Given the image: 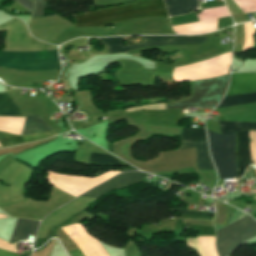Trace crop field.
<instances>
[{"instance_id":"d8731c3e","label":"crop field","mask_w":256,"mask_h":256,"mask_svg":"<svg viewBox=\"0 0 256 256\" xmlns=\"http://www.w3.org/2000/svg\"><path fill=\"white\" fill-rule=\"evenodd\" d=\"M142 43L133 46L124 47L122 44L123 38H102L99 39L102 43L107 44L109 53H119L128 51L137 47H149L154 45L166 44H198L207 40L206 34L196 36H141Z\"/></svg>"},{"instance_id":"bc2a9ffb","label":"crop field","mask_w":256,"mask_h":256,"mask_svg":"<svg viewBox=\"0 0 256 256\" xmlns=\"http://www.w3.org/2000/svg\"><path fill=\"white\" fill-rule=\"evenodd\" d=\"M15 1L18 2L19 4H21L22 6H24L30 12L32 11V9L34 7V2L31 0H15Z\"/></svg>"},{"instance_id":"5a996713","label":"crop field","mask_w":256,"mask_h":256,"mask_svg":"<svg viewBox=\"0 0 256 256\" xmlns=\"http://www.w3.org/2000/svg\"><path fill=\"white\" fill-rule=\"evenodd\" d=\"M57 134L51 126L46 123L41 117H27L21 135L46 138ZM0 132V144L2 146H13L23 143L39 140V138H31Z\"/></svg>"},{"instance_id":"412701ff","label":"crop field","mask_w":256,"mask_h":256,"mask_svg":"<svg viewBox=\"0 0 256 256\" xmlns=\"http://www.w3.org/2000/svg\"><path fill=\"white\" fill-rule=\"evenodd\" d=\"M0 67L26 71L61 70L57 50L33 52L0 51Z\"/></svg>"},{"instance_id":"dd49c442","label":"crop field","mask_w":256,"mask_h":256,"mask_svg":"<svg viewBox=\"0 0 256 256\" xmlns=\"http://www.w3.org/2000/svg\"><path fill=\"white\" fill-rule=\"evenodd\" d=\"M231 52L221 54L210 60L177 67L173 73L174 81H192L209 77H217L229 73Z\"/></svg>"},{"instance_id":"cbeb9de0","label":"crop field","mask_w":256,"mask_h":256,"mask_svg":"<svg viewBox=\"0 0 256 256\" xmlns=\"http://www.w3.org/2000/svg\"><path fill=\"white\" fill-rule=\"evenodd\" d=\"M39 222L28 220H17L16 228L10 242H18L20 240L28 239L29 235L36 232Z\"/></svg>"},{"instance_id":"e52e79f7","label":"crop field","mask_w":256,"mask_h":256,"mask_svg":"<svg viewBox=\"0 0 256 256\" xmlns=\"http://www.w3.org/2000/svg\"><path fill=\"white\" fill-rule=\"evenodd\" d=\"M251 92H256V73H233L226 96ZM254 104H256V93L228 96L224 98L217 109Z\"/></svg>"},{"instance_id":"d9b57169","label":"crop field","mask_w":256,"mask_h":256,"mask_svg":"<svg viewBox=\"0 0 256 256\" xmlns=\"http://www.w3.org/2000/svg\"><path fill=\"white\" fill-rule=\"evenodd\" d=\"M90 162L120 164L117 159L109 155L99 153H92Z\"/></svg>"},{"instance_id":"34b2d1b8","label":"crop field","mask_w":256,"mask_h":256,"mask_svg":"<svg viewBox=\"0 0 256 256\" xmlns=\"http://www.w3.org/2000/svg\"><path fill=\"white\" fill-rule=\"evenodd\" d=\"M236 209L228 224L245 216ZM224 226H215L216 231ZM256 236V221L248 215L217 231V249L220 256H227L233 249Z\"/></svg>"},{"instance_id":"733c2abd","label":"crop field","mask_w":256,"mask_h":256,"mask_svg":"<svg viewBox=\"0 0 256 256\" xmlns=\"http://www.w3.org/2000/svg\"><path fill=\"white\" fill-rule=\"evenodd\" d=\"M35 5H36V8L32 14L33 17H36V16H42L44 15V8L46 6V2L42 1V0H35Z\"/></svg>"},{"instance_id":"22f410ed","label":"crop field","mask_w":256,"mask_h":256,"mask_svg":"<svg viewBox=\"0 0 256 256\" xmlns=\"http://www.w3.org/2000/svg\"><path fill=\"white\" fill-rule=\"evenodd\" d=\"M170 16L188 13L198 7L197 0H164Z\"/></svg>"},{"instance_id":"ac0d7876","label":"crop field","mask_w":256,"mask_h":256,"mask_svg":"<svg viewBox=\"0 0 256 256\" xmlns=\"http://www.w3.org/2000/svg\"><path fill=\"white\" fill-rule=\"evenodd\" d=\"M163 5H165L163 0H141V1L133 2V3H129V4L113 7V8L101 9L96 12H91V13H86L81 15H73V17L77 20V23H78V22L113 16V15L163 6ZM149 16H168L166 7L163 6V7L123 14V15H118V16H113V17H108V18H103V19H98V20H93V21H88L83 23H78L75 25L76 27L104 26L108 24L127 21L134 18L149 17Z\"/></svg>"},{"instance_id":"214f88e0","label":"crop field","mask_w":256,"mask_h":256,"mask_svg":"<svg viewBox=\"0 0 256 256\" xmlns=\"http://www.w3.org/2000/svg\"><path fill=\"white\" fill-rule=\"evenodd\" d=\"M0 256H17V253H13L7 250L0 249Z\"/></svg>"},{"instance_id":"5142ce71","label":"crop field","mask_w":256,"mask_h":256,"mask_svg":"<svg viewBox=\"0 0 256 256\" xmlns=\"http://www.w3.org/2000/svg\"><path fill=\"white\" fill-rule=\"evenodd\" d=\"M0 116L20 117L19 109L8 99L6 94H0Z\"/></svg>"},{"instance_id":"3316defc","label":"crop field","mask_w":256,"mask_h":256,"mask_svg":"<svg viewBox=\"0 0 256 256\" xmlns=\"http://www.w3.org/2000/svg\"><path fill=\"white\" fill-rule=\"evenodd\" d=\"M182 141L207 142L204 129L184 128L181 133ZM180 148L197 147L198 169H215L207 153L206 143H182Z\"/></svg>"},{"instance_id":"4a817a6b","label":"crop field","mask_w":256,"mask_h":256,"mask_svg":"<svg viewBox=\"0 0 256 256\" xmlns=\"http://www.w3.org/2000/svg\"><path fill=\"white\" fill-rule=\"evenodd\" d=\"M172 211H179L182 214H195V215H204L214 217L215 213H206V212H196V211H187V210H179V209H171Z\"/></svg>"},{"instance_id":"8a807250","label":"crop field","mask_w":256,"mask_h":256,"mask_svg":"<svg viewBox=\"0 0 256 256\" xmlns=\"http://www.w3.org/2000/svg\"><path fill=\"white\" fill-rule=\"evenodd\" d=\"M221 128V134L244 130H256V123L245 122H225L218 121ZM208 131L209 144L213 161L217 167L221 179L233 178L239 179L235 163V133L220 135Z\"/></svg>"},{"instance_id":"28ad6ade","label":"crop field","mask_w":256,"mask_h":256,"mask_svg":"<svg viewBox=\"0 0 256 256\" xmlns=\"http://www.w3.org/2000/svg\"><path fill=\"white\" fill-rule=\"evenodd\" d=\"M146 175H147L146 173H139V172H129V173L120 174L117 177L113 178L112 180L101 185L100 187L82 196L101 198L103 195L115 189H122L138 183Z\"/></svg>"},{"instance_id":"f4fd0767","label":"crop field","mask_w":256,"mask_h":256,"mask_svg":"<svg viewBox=\"0 0 256 256\" xmlns=\"http://www.w3.org/2000/svg\"><path fill=\"white\" fill-rule=\"evenodd\" d=\"M229 75L214 79L194 81L192 99L167 105V109L179 107H215L226 91Z\"/></svg>"},{"instance_id":"92a150f3","label":"crop field","mask_w":256,"mask_h":256,"mask_svg":"<svg viewBox=\"0 0 256 256\" xmlns=\"http://www.w3.org/2000/svg\"><path fill=\"white\" fill-rule=\"evenodd\" d=\"M70 254H71L72 256H84V254L81 252L80 249L74 250V251H70Z\"/></svg>"},{"instance_id":"d1516ede","label":"crop field","mask_w":256,"mask_h":256,"mask_svg":"<svg viewBox=\"0 0 256 256\" xmlns=\"http://www.w3.org/2000/svg\"><path fill=\"white\" fill-rule=\"evenodd\" d=\"M248 131L238 132V164L240 169V176H242L246 167L252 163L250 156V147L248 143Z\"/></svg>"}]
</instances>
